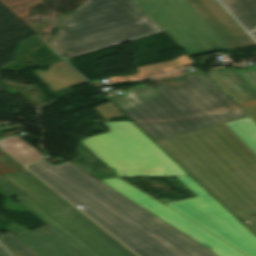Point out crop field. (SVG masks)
<instances>
[{
	"label": "crop field",
	"mask_w": 256,
	"mask_h": 256,
	"mask_svg": "<svg viewBox=\"0 0 256 256\" xmlns=\"http://www.w3.org/2000/svg\"><path fill=\"white\" fill-rule=\"evenodd\" d=\"M47 161V160H46ZM27 166L138 256H215L209 250L66 162Z\"/></svg>",
	"instance_id": "obj_1"
},
{
	"label": "crop field",
	"mask_w": 256,
	"mask_h": 256,
	"mask_svg": "<svg viewBox=\"0 0 256 256\" xmlns=\"http://www.w3.org/2000/svg\"><path fill=\"white\" fill-rule=\"evenodd\" d=\"M156 142L256 233V124L249 117Z\"/></svg>",
	"instance_id": "obj_2"
},
{
	"label": "crop field",
	"mask_w": 256,
	"mask_h": 256,
	"mask_svg": "<svg viewBox=\"0 0 256 256\" xmlns=\"http://www.w3.org/2000/svg\"><path fill=\"white\" fill-rule=\"evenodd\" d=\"M151 80L158 89L143 84L111 101L154 140L247 116L207 75L178 70Z\"/></svg>",
	"instance_id": "obj_3"
},
{
	"label": "crop field",
	"mask_w": 256,
	"mask_h": 256,
	"mask_svg": "<svg viewBox=\"0 0 256 256\" xmlns=\"http://www.w3.org/2000/svg\"><path fill=\"white\" fill-rule=\"evenodd\" d=\"M18 199L48 226L19 236L38 256H135L27 171L3 175Z\"/></svg>",
	"instance_id": "obj_4"
},
{
	"label": "crop field",
	"mask_w": 256,
	"mask_h": 256,
	"mask_svg": "<svg viewBox=\"0 0 256 256\" xmlns=\"http://www.w3.org/2000/svg\"><path fill=\"white\" fill-rule=\"evenodd\" d=\"M57 29L47 44L64 59L163 31L133 0H86Z\"/></svg>",
	"instance_id": "obj_5"
},
{
	"label": "crop field",
	"mask_w": 256,
	"mask_h": 256,
	"mask_svg": "<svg viewBox=\"0 0 256 256\" xmlns=\"http://www.w3.org/2000/svg\"><path fill=\"white\" fill-rule=\"evenodd\" d=\"M189 56L255 42L214 0H134Z\"/></svg>",
	"instance_id": "obj_6"
},
{
	"label": "crop field",
	"mask_w": 256,
	"mask_h": 256,
	"mask_svg": "<svg viewBox=\"0 0 256 256\" xmlns=\"http://www.w3.org/2000/svg\"><path fill=\"white\" fill-rule=\"evenodd\" d=\"M111 132L82 143L119 177L187 175L130 121L103 123Z\"/></svg>",
	"instance_id": "obj_7"
},
{
	"label": "crop field",
	"mask_w": 256,
	"mask_h": 256,
	"mask_svg": "<svg viewBox=\"0 0 256 256\" xmlns=\"http://www.w3.org/2000/svg\"><path fill=\"white\" fill-rule=\"evenodd\" d=\"M166 205L227 241L247 256H256V237L210 195Z\"/></svg>",
	"instance_id": "obj_8"
},
{
	"label": "crop field",
	"mask_w": 256,
	"mask_h": 256,
	"mask_svg": "<svg viewBox=\"0 0 256 256\" xmlns=\"http://www.w3.org/2000/svg\"><path fill=\"white\" fill-rule=\"evenodd\" d=\"M129 200L185 233L217 256H244L228 244L194 225L184 217L171 211L163 204L123 182L117 177L100 180Z\"/></svg>",
	"instance_id": "obj_9"
},
{
	"label": "crop field",
	"mask_w": 256,
	"mask_h": 256,
	"mask_svg": "<svg viewBox=\"0 0 256 256\" xmlns=\"http://www.w3.org/2000/svg\"><path fill=\"white\" fill-rule=\"evenodd\" d=\"M207 75L234 101L256 97V67L208 69Z\"/></svg>",
	"instance_id": "obj_10"
},
{
	"label": "crop field",
	"mask_w": 256,
	"mask_h": 256,
	"mask_svg": "<svg viewBox=\"0 0 256 256\" xmlns=\"http://www.w3.org/2000/svg\"><path fill=\"white\" fill-rule=\"evenodd\" d=\"M33 74L52 91L87 82L64 61L56 62L45 72L37 70Z\"/></svg>",
	"instance_id": "obj_11"
},
{
	"label": "crop field",
	"mask_w": 256,
	"mask_h": 256,
	"mask_svg": "<svg viewBox=\"0 0 256 256\" xmlns=\"http://www.w3.org/2000/svg\"><path fill=\"white\" fill-rule=\"evenodd\" d=\"M0 149L21 166L45 158L15 134L0 139Z\"/></svg>",
	"instance_id": "obj_12"
},
{
	"label": "crop field",
	"mask_w": 256,
	"mask_h": 256,
	"mask_svg": "<svg viewBox=\"0 0 256 256\" xmlns=\"http://www.w3.org/2000/svg\"><path fill=\"white\" fill-rule=\"evenodd\" d=\"M248 30L256 28V0H220Z\"/></svg>",
	"instance_id": "obj_13"
},
{
	"label": "crop field",
	"mask_w": 256,
	"mask_h": 256,
	"mask_svg": "<svg viewBox=\"0 0 256 256\" xmlns=\"http://www.w3.org/2000/svg\"><path fill=\"white\" fill-rule=\"evenodd\" d=\"M190 64H194V62L191 59H189L186 55H184L172 61L157 63V64L138 68L139 74L113 77L110 79L112 82H116V81H124L129 79L143 78V77H147L148 74H151V75L161 74V73L169 72L176 68L183 67Z\"/></svg>",
	"instance_id": "obj_14"
},
{
	"label": "crop field",
	"mask_w": 256,
	"mask_h": 256,
	"mask_svg": "<svg viewBox=\"0 0 256 256\" xmlns=\"http://www.w3.org/2000/svg\"><path fill=\"white\" fill-rule=\"evenodd\" d=\"M0 242L9 250L13 256H37L23 243L11 234H6L0 238Z\"/></svg>",
	"instance_id": "obj_15"
},
{
	"label": "crop field",
	"mask_w": 256,
	"mask_h": 256,
	"mask_svg": "<svg viewBox=\"0 0 256 256\" xmlns=\"http://www.w3.org/2000/svg\"><path fill=\"white\" fill-rule=\"evenodd\" d=\"M25 171L20 165L0 150V174Z\"/></svg>",
	"instance_id": "obj_16"
},
{
	"label": "crop field",
	"mask_w": 256,
	"mask_h": 256,
	"mask_svg": "<svg viewBox=\"0 0 256 256\" xmlns=\"http://www.w3.org/2000/svg\"><path fill=\"white\" fill-rule=\"evenodd\" d=\"M94 110L103 117V119L109 120L111 117L123 116L110 102L94 108Z\"/></svg>",
	"instance_id": "obj_17"
},
{
	"label": "crop field",
	"mask_w": 256,
	"mask_h": 256,
	"mask_svg": "<svg viewBox=\"0 0 256 256\" xmlns=\"http://www.w3.org/2000/svg\"><path fill=\"white\" fill-rule=\"evenodd\" d=\"M184 186H186L196 196L208 194L201 186H199L190 176L175 177Z\"/></svg>",
	"instance_id": "obj_18"
},
{
	"label": "crop field",
	"mask_w": 256,
	"mask_h": 256,
	"mask_svg": "<svg viewBox=\"0 0 256 256\" xmlns=\"http://www.w3.org/2000/svg\"><path fill=\"white\" fill-rule=\"evenodd\" d=\"M236 103L256 122V99Z\"/></svg>",
	"instance_id": "obj_19"
},
{
	"label": "crop field",
	"mask_w": 256,
	"mask_h": 256,
	"mask_svg": "<svg viewBox=\"0 0 256 256\" xmlns=\"http://www.w3.org/2000/svg\"><path fill=\"white\" fill-rule=\"evenodd\" d=\"M0 256H10V255L0 246Z\"/></svg>",
	"instance_id": "obj_20"
},
{
	"label": "crop field",
	"mask_w": 256,
	"mask_h": 256,
	"mask_svg": "<svg viewBox=\"0 0 256 256\" xmlns=\"http://www.w3.org/2000/svg\"><path fill=\"white\" fill-rule=\"evenodd\" d=\"M256 39V35H252Z\"/></svg>",
	"instance_id": "obj_21"
},
{
	"label": "crop field",
	"mask_w": 256,
	"mask_h": 256,
	"mask_svg": "<svg viewBox=\"0 0 256 256\" xmlns=\"http://www.w3.org/2000/svg\"><path fill=\"white\" fill-rule=\"evenodd\" d=\"M253 33H256V31H254Z\"/></svg>",
	"instance_id": "obj_22"
}]
</instances>
